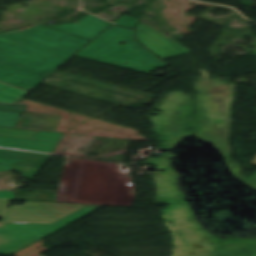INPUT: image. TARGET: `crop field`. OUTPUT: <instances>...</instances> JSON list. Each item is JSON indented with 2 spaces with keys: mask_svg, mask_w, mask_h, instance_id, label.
I'll use <instances>...</instances> for the list:
<instances>
[{
  "mask_svg": "<svg viewBox=\"0 0 256 256\" xmlns=\"http://www.w3.org/2000/svg\"><path fill=\"white\" fill-rule=\"evenodd\" d=\"M20 114L0 112V126L14 127Z\"/></svg>",
  "mask_w": 256,
  "mask_h": 256,
  "instance_id": "crop-field-10",
  "label": "crop field"
},
{
  "mask_svg": "<svg viewBox=\"0 0 256 256\" xmlns=\"http://www.w3.org/2000/svg\"><path fill=\"white\" fill-rule=\"evenodd\" d=\"M92 209L86 205L52 224H5L0 228V254L9 255L65 226V223Z\"/></svg>",
  "mask_w": 256,
  "mask_h": 256,
  "instance_id": "crop-field-3",
  "label": "crop field"
},
{
  "mask_svg": "<svg viewBox=\"0 0 256 256\" xmlns=\"http://www.w3.org/2000/svg\"><path fill=\"white\" fill-rule=\"evenodd\" d=\"M252 165H256V156L254 157L253 161L251 162Z\"/></svg>",
  "mask_w": 256,
  "mask_h": 256,
  "instance_id": "crop-field-13",
  "label": "crop field"
},
{
  "mask_svg": "<svg viewBox=\"0 0 256 256\" xmlns=\"http://www.w3.org/2000/svg\"><path fill=\"white\" fill-rule=\"evenodd\" d=\"M62 116L24 112L17 127L55 132Z\"/></svg>",
  "mask_w": 256,
  "mask_h": 256,
  "instance_id": "crop-field-7",
  "label": "crop field"
},
{
  "mask_svg": "<svg viewBox=\"0 0 256 256\" xmlns=\"http://www.w3.org/2000/svg\"><path fill=\"white\" fill-rule=\"evenodd\" d=\"M8 89H5V88ZM28 92L0 82V103L14 104Z\"/></svg>",
  "mask_w": 256,
  "mask_h": 256,
  "instance_id": "crop-field-8",
  "label": "crop field"
},
{
  "mask_svg": "<svg viewBox=\"0 0 256 256\" xmlns=\"http://www.w3.org/2000/svg\"><path fill=\"white\" fill-rule=\"evenodd\" d=\"M24 109L23 106L0 104V111L22 113Z\"/></svg>",
  "mask_w": 256,
  "mask_h": 256,
  "instance_id": "crop-field-11",
  "label": "crop field"
},
{
  "mask_svg": "<svg viewBox=\"0 0 256 256\" xmlns=\"http://www.w3.org/2000/svg\"><path fill=\"white\" fill-rule=\"evenodd\" d=\"M12 169L11 166L0 165V172ZM0 198L15 199L14 192L0 191Z\"/></svg>",
  "mask_w": 256,
  "mask_h": 256,
  "instance_id": "crop-field-12",
  "label": "crop field"
},
{
  "mask_svg": "<svg viewBox=\"0 0 256 256\" xmlns=\"http://www.w3.org/2000/svg\"><path fill=\"white\" fill-rule=\"evenodd\" d=\"M136 33L139 41L164 60L191 52L142 22L136 27Z\"/></svg>",
  "mask_w": 256,
  "mask_h": 256,
  "instance_id": "crop-field-4",
  "label": "crop field"
},
{
  "mask_svg": "<svg viewBox=\"0 0 256 256\" xmlns=\"http://www.w3.org/2000/svg\"><path fill=\"white\" fill-rule=\"evenodd\" d=\"M87 43L39 25L0 34V81L30 91Z\"/></svg>",
  "mask_w": 256,
  "mask_h": 256,
  "instance_id": "crop-field-1",
  "label": "crop field"
},
{
  "mask_svg": "<svg viewBox=\"0 0 256 256\" xmlns=\"http://www.w3.org/2000/svg\"><path fill=\"white\" fill-rule=\"evenodd\" d=\"M37 132L0 128L1 137L19 138L33 140Z\"/></svg>",
  "mask_w": 256,
  "mask_h": 256,
  "instance_id": "crop-field-9",
  "label": "crop field"
},
{
  "mask_svg": "<svg viewBox=\"0 0 256 256\" xmlns=\"http://www.w3.org/2000/svg\"><path fill=\"white\" fill-rule=\"evenodd\" d=\"M138 22L136 18L122 16L92 40L76 56L139 71L152 76H159L149 72L156 68L167 67V65L151 52L141 47L134 40L132 30L115 26V24H118L126 28H133ZM121 41H126L127 43L119 45L118 43Z\"/></svg>",
  "mask_w": 256,
  "mask_h": 256,
  "instance_id": "crop-field-2",
  "label": "crop field"
},
{
  "mask_svg": "<svg viewBox=\"0 0 256 256\" xmlns=\"http://www.w3.org/2000/svg\"><path fill=\"white\" fill-rule=\"evenodd\" d=\"M61 135L38 132L34 141L0 137V147L52 153Z\"/></svg>",
  "mask_w": 256,
  "mask_h": 256,
  "instance_id": "crop-field-6",
  "label": "crop field"
},
{
  "mask_svg": "<svg viewBox=\"0 0 256 256\" xmlns=\"http://www.w3.org/2000/svg\"><path fill=\"white\" fill-rule=\"evenodd\" d=\"M110 24L111 23L89 14L74 23L66 25H39L90 41Z\"/></svg>",
  "mask_w": 256,
  "mask_h": 256,
  "instance_id": "crop-field-5",
  "label": "crop field"
}]
</instances>
